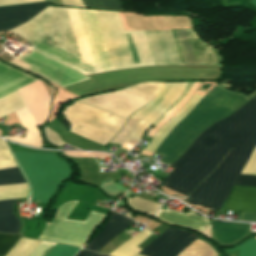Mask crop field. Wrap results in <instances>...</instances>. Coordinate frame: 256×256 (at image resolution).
Masks as SVG:
<instances>
[{"mask_svg":"<svg viewBox=\"0 0 256 256\" xmlns=\"http://www.w3.org/2000/svg\"><path fill=\"white\" fill-rule=\"evenodd\" d=\"M211 127L256 146V95L223 120ZM207 128L170 166L175 169L161 184L188 195L229 154L185 201L221 209L238 174L246 164L254 146Z\"/></svg>","mask_w":256,"mask_h":256,"instance_id":"1","label":"crop field"},{"mask_svg":"<svg viewBox=\"0 0 256 256\" xmlns=\"http://www.w3.org/2000/svg\"><path fill=\"white\" fill-rule=\"evenodd\" d=\"M85 61L103 69H117L95 13L63 8ZM62 8L48 7L10 30L27 39L32 49L84 74L102 71L83 61Z\"/></svg>","mask_w":256,"mask_h":256,"instance_id":"2","label":"crop field"},{"mask_svg":"<svg viewBox=\"0 0 256 256\" xmlns=\"http://www.w3.org/2000/svg\"><path fill=\"white\" fill-rule=\"evenodd\" d=\"M247 100L241 94L216 85L161 143L156 151V154L165 157L161 162H174L206 127L228 116Z\"/></svg>","mask_w":256,"mask_h":256,"instance_id":"3","label":"crop field"},{"mask_svg":"<svg viewBox=\"0 0 256 256\" xmlns=\"http://www.w3.org/2000/svg\"><path fill=\"white\" fill-rule=\"evenodd\" d=\"M118 13L122 30L193 29L187 17H142ZM182 65H221L220 53L202 42L194 30H171Z\"/></svg>","mask_w":256,"mask_h":256,"instance_id":"4","label":"crop field"},{"mask_svg":"<svg viewBox=\"0 0 256 256\" xmlns=\"http://www.w3.org/2000/svg\"><path fill=\"white\" fill-rule=\"evenodd\" d=\"M13 155L30 183L34 201L46 203L59 182L71 173L69 166L55 154L13 152Z\"/></svg>","mask_w":256,"mask_h":256,"instance_id":"5","label":"crop field"},{"mask_svg":"<svg viewBox=\"0 0 256 256\" xmlns=\"http://www.w3.org/2000/svg\"><path fill=\"white\" fill-rule=\"evenodd\" d=\"M62 113L71 123L72 132L103 145L113 138L125 122V119L77 101Z\"/></svg>","mask_w":256,"mask_h":256,"instance_id":"6","label":"crop field"},{"mask_svg":"<svg viewBox=\"0 0 256 256\" xmlns=\"http://www.w3.org/2000/svg\"><path fill=\"white\" fill-rule=\"evenodd\" d=\"M76 204L73 201L60 206L38 239L81 247L106 215L91 211L84 221L65 220Z\"/></svg>","mask_w":256,"mask_h":256,"instance_id":"7","label":"crop field"},{"mask_svg":"<svg viewBox=\"0 0 256 256\" xmlns=\"http://www.w3.org/2000/svg\"><path fill=\"white\" fill-rule=\"evenodd\" d=\"M37 79L0 63V98ZM37 125H43L49 115L51 100L38 81L18 90Z\"/></svg>","mask_w":256,"mask_h":256,"instance_id":"8","label":"crop field"},{"mask_svg":"<svg viewBox=\"0 0 256 256\" xmlns=\"http://www.w3.org/2000/svg\"><path fill=\"white\" fill-rule=\"evenodd\" d=\"M164 84L141 83L120 91L78 101L127 119L134 111L150 102Z\"/></svg>","mask_w":256,"mask_h":256,"instance_id":"9","label":"crop field"},{"mask_svg":"<svg viewBox=\"0 0 256 256\" xmlns=\"http://www.w3.org/2000/svg\"><path fill=\"white\" fill-rule=\"evenodd\" d=\"M151 234L147 228L144 229L138 235L119 246L110 256H135L141 250L136 246ZM196 238L197 236L189 233L168 228L156 240L143 248L139 254L143 256H176Z\"/></svg>","mask_w":256,"mask_h":256,"instance_id":"10","label":"crop field"},{"mask_svg":"<svg viewBox=\"0 0 256 256\" xmlns=\"http://www.w3.org/2000/svg\"><path fill=\"white\" fill-rule=\"evenodd\" d=\"M22 182H25V181L21 176L17 166L0 169V186L22 183ZM21 187H27L26 183L0 187V191L21 188ZM27 195H28L27 188L9 190V191L0 192V200L22 198V197H27ZM14 202L15 200L0 201L1 217L19 219L12 212V207ZM7 218H0V232L1 233H19V230H20L19 220H13V219H7Z\"/></svg>","mask_w":256,"mask_h":256,"instance_id":"11","label":"crop field"},{"mask_svg":"<svg viewBox=\"0 0 256 256\" xmlns=\"http://www.w3.org/2000/svg\"><path fill=\"white\" fill-rule=\"evenodd\" d=\"M255 150L251 155L252 158L250 157L241 173L256 175ZM235 184L256 186V176L240 174ZM238 185L233 186V189L225 201L222 209L256 212V187Z\"/></svg>","mask_w":256,"mask_h":256,"instance_id":"12","label":"crop field"},{"mask_svg":"<svg viewBox=\"0 0 256 256\" xmlns=\"http://www.w3.org/2000/svg\"><path fill=\"white\" fill-rule=\"evenodd\" d=\"M16 58L31 64L28 69L50 79L64 88L89 79L38 52H26Z\"/></svg>","mask_w":256,"mask_h":256,"instance_id":"13","label":"crop field"},{"mask_svg":"<svg viewBox=\"0 0 256 256\" xmlns=\"http://www.w3.org/2000/svg\"><path fill=\"white\" fill-rule=\"evenodd\" d=\"M187 83H166L158 95L146 106L134 112L144 117L130 137L141 139L145 129L157 120L183 93ZM147 130V129H146Z\"/></svg>","mask_w":256,"mask_h":256,"instance_id":"14","label":"crop field"},{"mask_svg":"<svg viewBox=\"0 0 256 256\" xmlns=\"http://www.w3.org/2000/svg\"><path fill=\"white\" fill-rule=\"evenodd\" d=\"M118 69L133 67L116 12L94 10Z\"/></svg>","mask_w":256,"mask_h":256,"instance_id":"15","label":"crop field"},{"mask_svg":"<svg viewBox=\"0 0 256 256\" xmlns=\"http://www.w3.org/2000/svg\"><path fill=\"white\" fill-rule=\"evenodd\" d=\"M135 66L158 65L146 31H122Z\"/></svg>","mask_w":256,"mask_h":256,"instance_id":"16","label":"crop field"},{"mask_svg":"<svg viewBox=\"0 0 256 256\" xmlns=\"http://www.w3.org/2000/svg\"><path fill=\"white\" fill-rule=\"evenodd\" d=\"M51 4L52 3L50 1H47L32 4L0 7V16L39 12L50 6ZM35 14L37 13L0 17V31L9 30L27 21Z\"/></svg>","mask_w":256,"mask_h":256,"instance_id":"17","label":"crop field"},{"mask_svg":"<svg viewBox=\"0 0 256 256\" xmlns=\"http://www.w3.org/2000/svg\"><path fill=\"white\" fill-rule=\"evenodd\" d=\"M159 65H181L170 31H147Z\"/></svg>","mask_w":256,"mask_h":256,"instance_id":"18","label":"crop field"},{"mask_svg":"<svg viewBox=\"0 0 256 256\" xmlns=\"http://www.w3.org/2000/svg\"><path fill=\"white\" fill-rule=\"evenodd\" d=\"M133 223L134 221L113 212L105 227L84 248L98 252L111 239L122 233Z\"/></svg>","mask_w":256,"mask_h":256,"instance_id":"19","label":"crop field"},{"mask_svg":"<svg viewBox=\"0 0 256 256\" xmlns=\"http://www.w3.org/2000/svg\"><path fill=\"white\" fill-rule=\"evenodd\" d=\"M250 224L226 223L211 220L212 239L222 246L238 242L249 235Z\"/></svg>","mask_w":256,"mask_h":256,"instance_id":"20","label":"crop field"},{"mask_svg":"<svg viewBox=\"0 0 256 256\" xmlns=\"http://www.w3.org/2000/svg\"><path fill=\"white\" fill-rule=\"evenodd\" d=\"M154 217L201 233L209 224V220L207 218L192 210L186 214H179L172 210L160 209Z\"/></svg>","mask_w":256,"mask_h":256,"instance_id":"21","label":"crop field"},{"mask_svg":"<svg viewBox=\"0 0 256 256\" xmlns=\"http://www.w3.org/2000/svg\"><path fill=\"white\" fill-rule=\"evenodd\" d=\"M15 114H16L21 126L26 128L28 130V132H27L25 138L6 137L5 139L12 141V142L35 147V148H42L41 146H42L43 139L41 137V133H40L38 127L36 126L32 116L30 115L27 107L15 112Z\"/></svg>","mask_w":256,"mask_h":256,"instance_id":"22","label":"crop field"},{"mask_svg":"<svg viewBox=\"0 0 256 256\" xmlns=\"http://www.w3.org/2000/svg\"><path fill=\"white\" fill-rule=\"evenodd\" d=\"M202 96L194 94V96L183 106V108L175 114L155 135L152 141L144 148L145 151L154 153L164 138L170 131L194 108V106L202 99Z\"/></svg>","mask_w":256,"mask_h":256,"instance_id":"23","label":"crop field"},{"mask_svg":"<svg viewBox=\"0 0 256 256\" xmlns=\"http://www.w3.org/2000/svg\"><path fill=\"white\" fill-rule=\"evenodd\" d=\"M20 237V235L0 233V256H4ZM40 243V241L21 238L7 256H29Z\"/></svg>","mask_w":256,"mask_h":256,"instance_id":"24","label":"crop field"},{"mask_svg":"<svg viewBox=\"0 0 256 256\" xmlns=\"http://www.w3.org/2000/svg\"><path fill=\"white\" fill-rule=\"evenodd\" d=\"M141 119L142 117L133 114L128 122L123 126L122 130H120L110 142L122 144L124 141H126L132 145H135L138 141L128 136L135 129L136 125Z\"/></svg>","mask_w":256,"mask_h":256,"instance_id":"25","label":"crop field"},{"mask_svg":"<svg viewBox=\"0 0 256 256\" xmlns=\"http://www.w3.org/2000/svg\"><path fill=\"white\" fill-rule=\"evenodd\" d=\"M25 107L18 91L0 99V118Z\"/></svg>","mask_w":256,"mask_h":256,"instance_id":"26","label":"crop field"},{"mask_svg":"<svg viewBox=\"0 0 256 256\" xmlns=\"http://www.w3.org/2000/svg\"><path fill=\"white\" fill-rule=\"evenodd\" d=\"M177 256H218L208 245L196 239Z\"/></svg>","mask_w":256,"mask_h":256,"instance_id":"27","label":"crop field"},{"mask_svg":"<svg viewBox=\"0 0 256 256\" xmlns=\"http://www.w3.org/2000/svg\"><path fill=\"white\" fill-rule=\"evenodd\" d=\"M127 200H128V204L131 208H133L136 211H142L151 216H153L154 213L161 206L160 204H158L156 202H150V201L140 199L137 197L128 198Z\"/></svg>","mask_w":256,"mask_h":256,"instance_id":"28","label":"crop field"},{"mask_svg":"<svg viewBox=\"0 0 256 256\" xmlns=\"http://www.w3.org/2000/svg\"><path fill=\"white\" fill-rule=\"evenodd\" d=\"M53 86H55V88L58 90V93L56 94V96L52 102V113L50 115L49 121H51L53 118L56 117V110H57L58 105L61 102L68 100V99L75 98V97H79V96L65 90L64 88L60 87L57 84H55Z\"/></svg>","mask_w":256,"mask_h":256,"instance_id":"29","label":"crop field"},{"mask_svg":"<svg viewBox=\"0 0 256 256\" xmlns=\"http://www.w3.org/2000/svg\"><path fill=\"white\" fill-rule=\"evenodd\" d=\"M85 7L122 11L118 0H82Z\"/></svg>","mask_w":256,"mask_h":256,"instance_id":"30","label":"crop field"},{"mask_svg":"<svg viewBox=\"0 0 256 256\" xmlns=\"http://www.w3.org/2000/svg\"><path fill=\"white\" fill-rule=\"evenodd\" d=\"M238 249H240L238 256H256V239L253 238L251 240H248L243 245L238 246L234 249L225 250V253Z\"/></svg>","mask_w":256,"mask_h":256,"instance_id":"31","label":"crop field"},{"mask_svg":"<svg viewBox=\"0 0 256 256\" xmlns=\"http://www.w3.org/2000/svg\"><path fill=\"white\" fill-rule=\"evenodd\" d=\"M80 248L56 244L47 256H74Z\"/></svg>","mask_w":256,"mask_h":256,"instance_id":"32","label":"crop field"},{"mask_svg":"<svg viewBox=\"0 0 256 256\" xmlns=\"http://www.w3.org/2000/svg\"><path fill=\"white\" fill-rule=\"evenodd\" d=\"M54 245L53 243L42 242L30 256H46Z\"/></svg>","mask_w":256,"mask_h":256,"instance_id":"33","label":"crop field"},{"mask_svg":"<svg viewBox=\"0 0 256 256\" xmlns=\"http://www.w3.org/2000/svg\"><path fill=\"white\" fill-rule=\"evenodd\" d=\"M45 135L47 137V140H49L51 143H53L57 146L63 144L60 137L46 127H45Z\"/></svg>","mask_w":256,"mask_h":256,"instance_id":"34","label":"crop field"},{"mask_svg":"<svg viewBox=\"0 0 256 256\" xmlns=\"http://www.w3.org/2000/svg\"><path fill=\"white\" fill-rule=\"evenodd\" d=\"M54 4L58 5H67V6H75V7H84L81 0H52Z\"/></svg>","mask_w":256,"mask_h":256,"instance_id":"35","label":"crop field"},{"mask_svg":"<svg viewBox=\"0 0 256 256\" xmlns=\"http://www.w3.org/2000/svg\"><path fill=\"white\" fill-rule=\"evenodd\" d=\"M193 83H188V87L187 89L185 90V92L181 95V97L156 121L154 122L152 125H156L160 120H162L168 113L169 111L175 106L177 105L181 100L182 98L187 94L188 90L190 89V87L192 86Z\"/></svg>","mask_w":256,"mask_h":256,"instance_id":"36","label":"crop field"},{"mask_svg":"<svg viewBox=\"0 0 256 256\" xmlns=\"http://www.w3.org/2000/svg\"><path fill=\"white\" fill-rule=\"evenodd\" d=\"M240 221L256 222V213L242 212Z\"/></svg>","mask_w":256,"mask_h":256,"instance_id":"37","label":"crop field"},{"mask_svg":"<svg viewBox=\"0 0 256 256\" xmlns=\"http://www.w3.org/2000/svg\"><path fill=\"white\" fill-rule=\"evenodd\" d=\"M76 256H105V255L96 254V253H92L84 249H81Z\"/></svg>","mask_w":256,"mask_h":256,"instance_id":"38","label":"crop field"},{"mask_svg":"<svg viewBox=\"0 0 256 256\" xmlns=\"http://www.w3.org/2000/svg\"><path fill=\"white\" fill-rule=\"evenodd\" d=\"M40 80V79H39ZM40 82L42 83L43 87L45 88V90L47 91L48 95L50 96V98L52 97L53 93L55 92L54 89H52L47 83H45L44 81L40 80Z\"/></svg>","mask_w":256,"mask_h":256,"instance_id":"39","label":"crop field"},{"mask_svg":"<svg viewBox=\"0 0 256 256\" xmlns=\"http://www.w3.org/2000/svg\"><path fill=\"white\" fill-rule=\"evenodd\" d=\"M202 235H204V236L208 237L209 239H211V238H210V225H209V227L202 233Z\"/></svg>","mask_w":256,"mask_h":256,"instance_id":"40","label":"crop field"},{"mask_svg":"<svg viewBox=\"0 0 256 256\" xmlns=\"http://www.w3.org/2000/svg\"><path fill=\"white\" fill-rule=\"evenodd\" d=\"M251 3H253V4H255L256 5V0H252V2Z\"/></svg>","mask_w":256,"mask_h":256,"instance_id":"41","label":"crop field"},{"mask_svg":"<svg viewBox=\"0 0 256 256\" xmlns=\"http://www.w3.org/2000/svg\"><path fill=\"white\" fill-rule=\"evenodd\" d=\"M3 50V48L1 47V45H0V52Z\"/></svg>","mask_w":256,"mask_h":256,"instance_id":"42","label":"crop field"}]
</instances>
